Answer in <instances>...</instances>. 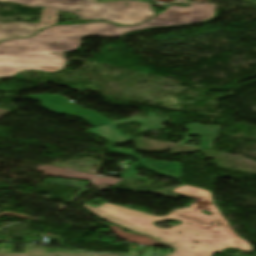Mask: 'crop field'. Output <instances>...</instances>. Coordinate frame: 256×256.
<instances>
[{
    "mask_svg": "<svg viewBox=\"0 0 256 256\" xmlns=\"http://www.w3.org/2000/svg\"><path fill=\"white\" fill-rule=\"evenodd\" d=\"M173 192L197 200L188 208L173 210L166 217H156L120 206L105 203L98 208L84 205L101 219L117 224L125 229L149 235L160 242L176 249L175 253L166 256H212L226 248H237L246 252L252 251L249 243L240 239L227 224L224 217L214 206L211 193L191 186H181ZM197 212H194V211ZM211 212V216L200 211ZM178 219L182 225L171 229L154 227L153 221ZM185 222L192 223L191 225ZM181 231V233H177ZM199 231H202L199 233ZM195 234H198L197 236ZM213 236H216L214 238Z\"/></svg>",
    "mask_w": 256,
    "mask_h": 256,
    "instance_id": "crop-field-1",
    "label": "crop field"
},
{
    "mask_svg": "<svg viewBox=\"0 0 256 256\" xmlns=\"http://www.w3.org/2000/svg\"><path fill=\"white\" fill-rule=\"evenodd\" d=\"M215 9V4L191 3L189 8L172 5L154 19L134 27H117L109 23L55 26L30 39L5 41L0 44V78H9L28 69L49 72L64 69V51L78 49L82 36L119 37L150 27L203 22L214 17ZM54 52L57 54H50Z\"/></svg>",
    "mask_w": 256,
    "mask_h": 256,
    "instance_id": "crop-field-2",
    "label": "crop field"
},
{
    "mask_svg": "<svg viewBox=\"0 0 256 256\" xmlns=\"http://www.w3.org/2000/svg\"><path fill=\"white\" fill-rule=\"evenodd\" d=\"M11 1L30 7H46L42 12L41 25H55L58 11L73 12L81 20L103 19L110 22L133 25L155 16L151 4L123 0L104 4L88 0H0ZM128 2V6H126ZM82 7H85L84 9ZM75 10H81L75 12ZM51 19H48V17ZM45 23H48L47 25Z\"/></svg>",
    "mask_w": 256,
    "mask_h": 256,
    "instance_id": "crop-field-3",
    "label": "crop field"
},
{
    "mask_svg": "<svg viewBox=\"0 0 256 256\" xmlns=\"http://www.w3.org/2000/svg\"><path fill=\"white\" fill-rule=\"evenodd\" d=\"M28 98L42 101L44 104L41 106L47 108L54 113L80 117L88 121L94 127L110 123L95 112L82 109L72 104L67 97H60L55 95H30L28 96Z\"/></svg>",
    "mask_w": 256,
    "mask_h": 256,
    "instance_id": "crop-field-4",
    "label": "crop field"
},
{
    "mask_svg": "<svg viewBox=\"0 0 256 256\" xmlns=\"http://www.w3.org/2000/svg\"><path fill=\"white\" fill-rule=\"evenodd\" d=\"M149 116H150V120H148V119L141 120L137 117H132V118L114 122L113 124H109V125H106V126L94 129V130H90V132L97 136L104 137L105 139H108L114 143H120V142L129 140L131 138H129V137L123 135L121 132H119L116 129V125L130 123V122H139L143 126V129L140 130L139 132H143L145 130L158 131V130L164 128L160 124L162 122L166 121L167 119L157 118L154 113L149 114Z\"/></svg>",
    "mask_w": 256,
    "mask_h": 256,
    "instance_id": "crop-field-5",
    "label": "crop field"
},
{
    "mask_svg": "<svg viewBox=\"0 0 256 256\" xmlns=\"http://www.w3.org/2000/svg\"><path fill=\"white\" fill-rule=\"evenodd\" d=\"M40 24H25V23H0V41L3 39H11L16 37H29L37 33L41 29Z\"/></svg>",
    "mask_w": 256,
    "mask_h": 256,
    "instance_id": "crop-field-6",
    "label": "crop field"
},
{
    "mask_svg": "<svg viewBox=\"0 0 256 256\" xmlns=\"http://www.w3.org/2000/svg\"><path fill=\"white\" fill-rule=\"evenodd\" d=\"M192 127L195 129H191ZM185 129L188 130L189 133L185 134V140L183 139L184 141L180 142L178 145H185L188 143L190 141L188 138L189 135H198L202 136L201 148L210 150L212 140L217 138L218 127H202L200 125L193 124L186 126Z\"/></svg>",
    "mask_w": 256,
    "mask_h": 256,
    "instance_id": "crop-field-7",
    "label": "crop field"
},
{
    "mask_svg": "<svg viewBox=\"0 0 256 256\" xmlns=\"http://www.w3.org/2000/svg\"><path fill=\"white\" fill-rule=\"evenodd\" d=\"M118 256V255H110V254H100V255H90V254H52V255H0V256Z\"/></svg>",
    "mask_w": 256,
    "mask_h": 256,
    "instance_id": "crop-field-8",
    "label": "crop field"
}]
</instances>
